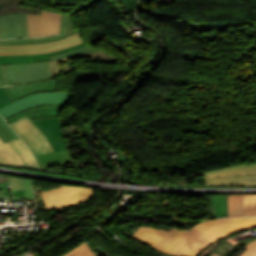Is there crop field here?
I'll return each instance as SVG.
<instances>
[{
    "mask_svg": "<svg viewBox=\"0 0 256 256\" xmlns=\"http://www.w3.org/2000/svg\"><path fill=\"white\" fill-rule=\"evenodd\" d=\"M3 71H4V79H5V83H6V85H8V83H7V78H6V73H5V67L3 66Z\"/></svg>",
    "mask_w": 256,
    "mask_h": 256,
    "instance_id": "d3111659",
    "label": "crop field"
},
{
    "mask_svg": "<svg viewBox=\"0 0 256 256\" xmlns=\"http://www.w3.org/2000/svg\"><path fill=\"white\" fill-rule=\"evenodd\" d=\"M50 141L54 151L66 149L59 117L45 118L32 121Z\"/></svg>",
    "mask_w": 256,
    "mask_h": 256,
    "instance_id": "5a996713",
    "label": "crop field"
},
{
    "mask_svg": "<svg viewBox=\"0 0 256 256\" xmlns=\"http://www.w3.org/2000/svg\"><path fill=\"white\" fill-rule=\"evenodd\" d=\"M14 97L17 99L42 91H56V80L55 78L49 80H43L39 82L24 83L20 85L9 86Z\"/></svg>",
    "mask_w": 256,
    "mask_h": 256,
    "instance_id": "28ad6ade",
    "label": "crop field"
},
{
    "mask_svg": "<svg viewBox=\"0 0 256 256\" xmlns=\"http://www.w3.org/2000/svg\"><path fill=\"white\" fill-rule=\"evenodd\" d=\"M213 218L227 217V195L212 196Z\"/></svg>",
    "mask_w": 256,
    "mask_h": 256,
    "instance_id": "733c2abd",
    "label": "crop field"
},
{
    "mask_svg": "<svg viewBox=\"0 0 256 256\" xmlns=\"http://www.w3.org/2000/svg\"><path fill=\"white\" fill-rule=\"evenodd\" d=\"M0 138L4 142L15 139V137L0 123Z\"/></svg>",
    "mask_w": 256,
    "mask_h": 256,
    "instance_id": "00972430",
    "label": "crop field"
},
{
    "mask_svg": "<svg viewBox=\"0 0 256 256\" xmlns=\"http://www.w3.org/2000/svg\"><path fill=\"white\" fill-rule=\"evenodd\" d=\"M7 88H8V90H9V92H10V89H9V87L7 86ZM10 94H11V92H10ZM12 95V94H11ZM12 98H13V100L15 101V98L13 97V95H12Z\"/></svg>",
    "mask_w": 256,
    "mask_h": 256,
    "instance_id": "750c4746",
    "label": "crop field"
},
{
    "mask_svg": "<svg viewBox=\"0 0 256 256\" xmlns=\"http://www.w3.org/2000/svg\"><path fill=\"white\" fill-rule=\"evenodd\" d=\"M82 29L83 28H79L78 30H74L70 14H62L61 35L41 37V38H29V39L0 40V45L52 41V40L64 38L65 36H68L70 34H75L79 31H82Z\"/></svg>",
    "mask_w": 256,
    "mask_h": 256,
    "instance_id": "3316defc",
    "label": "crop field"
},
{
    "mask_svg": "<svg viewBox=\"0 0 256 256\" xmlns=\"http://www.w3.org/2000/svg\"><path fill=\"white\" fill-rule=\"evenodd\" d=\"M206 185H256V164L203 173Z\"/></svg>",
    "mask_w": 256,
    "mask_h": 256,
    "instance_id": "34b2d1b8",
    "label": "crop field"
},
{
    "mask_svg": "<svg viewBox=\"0 0 256 256\" xmlns=\"http://www.w3.org/2000/svg\"><path fill=\"white\" fill-rule=\"evenodd\" d=\"M80 39H82V38H79L77 40H80ZM77 40H75V41H77ZM75 41H73V42H75ZM70 43H72V42H70ZM64 45H66V44H64ZM61 46H63V45H60V46H57V47H61ZM54 48H56V47H54ZM42 50H46V49H42ZM34 51H41V50H34ZM5 52H28V51H5Z\"/></svg>",
    "mask_w": 256,
    "mask_h": 256,
    "instance_id": "eef30255",
    "label": "crop field"
},
{
    "mask_svg": "<svg viewBox=\"0 0 256 256\" xmlns=\"http://www.w3.org/2000/svg\"><path fill=\"white\" fill-rule=\"evenodd\" d=\"M256 226V216L217 219L199 223L189 231L141 227L132 236L169 254L197 256L219 238ZM192 246V249H190Z\"/></svg>",
    "mask_w": 256,
    "mask_h": 256,
    "instance_id": "8a807250",
    "label": "crop field"
},
{
    "mask_svg": "<svg viewBox=\"0 0 256 256\" xmlns=\"http://www.w3.org/2000/svg\"><path fill=\"white\" fill-rule=\"evenodd\" d=\"M11 103V100L4 90V87H0V108Z\"/></svg>",
    "mask_w": 256,
    "mask_h": 256,
    "instance_id": "4177f3b9",
    "label": "crop field"
},
{
    "mask_svg": "<svg viewBox=\"0 0 256 256\" xmlns=\"http://www.w3.org/2000/svg\"><path fill=\"white\" fill-rule=\"evenodd\" d=\"M5 89H6V91H7V88L5 87ZM7 93H8V91H7ZM9 94V93H8ZM10 95V94H9ZM11 97V96H10ZM12 99V98H11ZM13 101V100H12Z\"/></svg>",
    "mask_w": 256,
    "mask_h": 256,
    "instance_id": "bd1437ed",
    "label": "crop field"
},
{
    "mask_svg": "<svg viewBox=\"0 0 256 256\" xmlns=\"http://www.w3.org/2000/svg\"><path fill=\"white\" fill-rule=\"evenodd\" d=\"M208 200H209V216H210V218H212V214H211V196H208Z\"/></svg>",
    "mask_w": 256,
    "mask_h": 256,
    "instance_id": "ae1a2a85",
    "label": "crop field"
},
{
    "mask_svg": "<svg viewBox=\"0 0 256 256\" xmlns=\"http://www.w3.org/2000/svg\"><path fill=\"white\" fill-rule=\"evenodd\" d=\"M0 164L4 165H20L24 166L19 156L12 150V148L0 139Z\"/></svg>",
    "mask_w": 256,
    "mask_h": 256,
    "instance_id": "5142ce71",
    "label": "crop field"
},
{
    "mask_svg": "<svg viewBox=\"0 0 256 256\" xmlns=\"http://www.w3.org/2000/svg\"><path fill=\"white\" fill-rule=\"evenodd\" d=\"M28 37L26 14L0 16V38Z\"/></svg>",
    "mask_w": 256,
    "mask_h": 256,
    "instance_id": "d8731c3e",
    "label": "crop field"
},
{
    "mask_svg": "<svg viewBox=\"0 0 256 256\" xmlns=\"http://www.w3.org/2000/svg\"><path fill=\"white\" fill-rule=\"evenodd\" d=\"M71 94L72 93H63V92H43V93L28 95L0 109V114L4 119H7L30 107L39 106V105H50V104H67Z\"/></svg>",
    "mask_w": 256,
    "mask_h": 256,
    "instance_id": "f4fd0767",
    "label": "crop field"
},
{
    "mask_svg": "<svg viewBox=\"0 0 256 256\" xmlns=\"http://www.w3.org/2000/svg\"><path fill=\"white\" fill-rule=\"evenodd\" d=\"M45 201L46 209L56 206L65 208L79 204L94 195V188L61 186L41 192Z\"/></svg>",
    "mask_w": 256,
    "mask_h": 256,
    "instance_id": "412701ff",
    "label": "crop field"
},
{
    "mask_svg": "<svg viewBox=\"0 0 256 256\" xmlns=\"http://www.w3.org/2000/svg\"><path fill=\"white\" fill-rule=\"evenodd\" d=\"M8 144L20 156L25 166L38 168L31 152L20 138L8 142Z\"/></svg>",
    "mask_w": 256,
    "mask_h": 256,
    "instance_id": "cbeb9de0",
    "label": "crop field"
},
{
    "mask_svg": "<svg viewBox=\"0 0 256 256\" xmlns=\"http://www.w3.org/2000/svg\"><path fill=\"white\" fill-rule=\"evenodd\" d=\"M63 256H97L89 248L87 242L77 246Z\"/></svg>",
    "mask_w": 256,
    "mask_h": 256,
    "instance_id": "bc2a9ffb",
    "label": "crop field"
},
{
    "mask_svg": "<svg viewBox=\"0 0 256 256\" xmlns=\"http://www.w3.org/2000/svg\"><path fill=\"white\" fill-rule=\"evenodd\" d=\"M20 137L21 139L26 143V145L30 148L31 152L33 153V155L35 156L37 163L39 165V168H42V163L41 160L39 158V156L37 155L34 147L30 144V142L24 137V135L12 124L10 123L9 125Z\"/></svg>",
    "mask_w": 256,
    "mask_h": 256,
    "instance_id": "92a150f3",
    "label": "crop field"
},
{
    "mask_svg": "<svg viewBox=\"0 0 256 256\" xmlns=\"http://www.w3.org/2000/svg\"><path fill=\"white\" fill-rule=\"evenodd\" d=\"M40 158L43 162L44 168H49V167L57 166L59 164L73 161L67 150L43 155V156H40Z\"/></svg>",
    "mask_w": 256,
    "mask_h": 256,
    "instance_id": "d9b57169",
    "label": "crop field"
},
{
    "mask_svg": "<svg viewBox=\"0 0 256 256\" xmlns=\"http://www.w3.org/2000/svg\"><path fill=\"white\" fill-rule=\"evenodd\" d=\"M12 123L26 136L39 155L54 152L48 140L26 116Z\"/></svg>",
    "mask_w": 256,
    "mask_h": 256,
    "instance_id": "e52e79f7",
    "label": "crop field"
},
{
    "mask_svg": "<svg viewBox=\"0 0 256 256\" xmlns=\"http://www.w3.org/2000/svg\"><path fill=\"white\" fill-rule=\"evenodd\" d=\"M29 37L60 33L61 14L42 10L40 15L27 14Z\"/></svg>",
    "mask_w": 256,
    "mask_h": 256,
    "instance_id": "dd49c442",
    "label": "crop field"
},
{
    "mask_svg": "<svg viewBox=\"0 0 256 256\" xmlns=\"http://www.w3.org/2000/svg\"><path fill=\"white\" fill-rule=\"evenodd\" d=\"M66 105H50V106H39L31 108L23 113L15 115L7 121L11 122L19 117L24 115H28L31 120L40 119L44 117H52V116H59V112L65 107Z\"/></svg>",
    "mask_w": 256,
    "mask_h": 256,
    "instance_id": "d1516ede",
    "label": "crop field"
},
{
    "mask_svg": "<svg viewBox=\"0 0 256 256\" xmlns=\"http://www.w3.org/2000/svg\"><path fill=\"white\" fill-rule=\"evenodd\" d=\"M0 122L16 137V138H18V136L14 133V131L11 129V128H9L8 126H7V124L5 123V121H4V119L0 116Z\"/></svg>",
    "mask_w": 256,
    "mask_h": 256,
    "instance_id": "730fd06b",
    "label": "crop field"
},
{
    "mask_svg": "<svg viewBox=\"0 0 256 256\" xmlns=\"http://www.w3.org/2000/svg\"><path fill=\"white\" fill-rule=\"evenodd\" d=\"M81 42H84L83 40H80L76 43H72V44H68L66 46H63L61 48H56V49H51V50H47V51H41V52H29V53H0V56H3V55H19V54H39V53H46V52H52V51H57V50H61L63 48H66V47H69V46H72V45H75V44H78V43H81Z\"/></svg>",
    "mask_w": 256,
    "mask_h": 256,
    "instance_id": "dafd665d",
    "label": "crop field"
},
{
    "mask_svg": "<svg viewBox=\"0 0 256 256\" xmlns=\"http://www.w3.org/2000/svg\"><path fill=\"white\" fill-rule=\"evenodd\" d=\"M245 248L247 251L241 256H256V240L246 245Z\"/></svg>",
    "mask_w": 256,
    "mask_h": 256,
    "instance_id": "a9b5d70f",
    "label": "crop field"
},
{
    "mask_svg": "<svg viewBox=\"0 0 256 256\" xmlns=\"http://www.w3.org/2000/svg\"><path fill=\"white\" fill-rule=\"evenodd\" d=\"M245 215H256V195H244Z\"/></svg>",
    "mask_w": 256,
    "mask_h": 256,
    "instance_id": "214f88e0",
    "label": "crop field"
},
{
    "mask_svg": "<svg viewBox=\"0 0 256 256\" xmlns=\"http://www.w3.org/2000/svg\"><path fill=\"white\" fill-rule=\"evenodd\" d=\"M93 51L98 50L82 43L52 53L0 57V86L5 85L2 71L3 64L6 67L8 83L12 85L51 77L48 61Z\"/></svg>",
    "mask_w": 256,
    "mask_h": 256,
    "instance_id": "ac0d7876",
    "label": "crop field"
},
{
    "mask_svg": "<svg viewBox=\"0 0 256 256\" xmlns=\"http://www.w3.org/2000/svg\"><path fill=\"white\" fill-rule=\"evenodd\" d=\"M81 37V32L75 35H71L61 40L47 42V43H37V44H24V45H4L0 46V51L5 50H33V49H42V48H49L54 47L60 44H64L70 41H73L77 38Z\"/></svg>",
    "mask_w": 256,
    "mask_h": 256,
    "instance_id": "22f410ed",
    "label": "crop field"
},
{
    "mask_svg": "<svg viewBox=\"0 0 256 256\" xmlns=\"http://www.w3.org/2000/svg\"><path fill=\"white\" fill-rule=\"evenodd\" d=\"M243 216V195H228V217Z\"/></svg>",
    "mask_w": 256,
    "mask_h": 256,
    "instance_id": "4a817a6b",
    "label": "crop field"
}]
</instances>
